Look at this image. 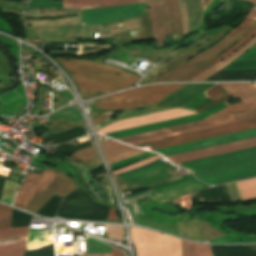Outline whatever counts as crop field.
<instances>
[{"instance_id":"obj_1","label":"crop field","mask_w":256,"mask_h":256,"mask_svg":"<svg viewBox=\"0 0 256 256\" xmlns=\"http://www.w3.org/2000/svg\"><path fill=\"white\" fill-rule=\"evenodd\" d=\"M178 165L191 169L196 178L210 185L237 180L256 175V148Z\"/></svg>"},{"instance_id":"obj_2","label":"crop field","mask_w":256,"mask_h":256,"mask_svg":"<svg viewBox=\"0 0 256 256\" xmlns=\"http://www.w3.org/2000/svg\"><path fill=\"white\" fill-rule=\"evenodd\" d=\"M220 85L225 90H227L234 98L240 97L242 102L256 101V88L253 86L252 83H224V84H220ZM226 103H227V100H226L225 104ZM228 106H230V107H228ZM228 106L224 105V102H221V103H218V104H216V105L208 108L207 110H205L199 114H196V115L182 117V118L173 119V120L164 121V122L155 123V124H150V125H146V126L128 129V130L118 131V132L109 133V134H105V135L108 137H111L113 139H117V138H121V137H125V136H130V135H134V134H138V133H143V132H147V131H151V130H156V129H160V128H165V127H169V126H173V125H178V124H182V123H186V122L203 119V118H205L221 109H224L226 107H228V108L221 110L207 118L256 108V102H254L252 104L249 102L235 103V104H229Z\"/></svg>"},{"instance_id":"obj_3","label":"crop field","mask_w":256,"mask_h":256,"mask_svg":"<svg viewBox=\"0 0 256 256\" xmlns=\"http://www.w3.org/2000/svg\"><path fill=\"white\" fill-rule=\"evenodd\" d=\"M145 0H65V8H95L142 3ZM146 3L82 10L83 24H104L145 14Z\"/></svg>"},{"instance_id":"obj_4","label":"crop field","mask_w":256,"mask_h":256,"mask_svg":"<svg viewBox=\"0 0 256 256\" xmlns=\"http://www.w3.org/2000/svg\"><path fill=\"white\" fill-rule=\"evenodd\" d=\"M183 85L184 84H159L140 87L124 93L102 98L98 100L97 105L104 111L153 107ZM117 100H124V102L109 103V101Z\"/></svg>"},{"instance_id":"obj_5","label":"crop field","mask_w":256,"mask_h":256,"mask_svg":"<svg viewBox=\"0 0 256 256\" xmlns=\"http://www.w3.org/2000/svg\"><path fill=\"white\" fill-rule=\"evenodd\" d=\"M256 26V20L246 17L242 23L234 28L228 35H226L222 40L206 49L202 53L196 55L187 63L179 66L178 68L170 71L161 79L155 82L162 81H176L183 77L187 73L191 72L200 65L214 59L218 55L222 54L228 48L236 44L241 40L247 33H249ZM201 67V66H200Z\"/></svg>"},{"instance_id":"obj_6","label":"crop field","mask_w":256,"mask_h":256,"mask_svg":"<svg viewBox=\"0 0 256 256\" xmlns=\"http://www.w3.org/2000/svg\"><path fill=\"white\" fill-rule=\"evenodd\" d=\"M256 118V109L246 112H241L237 114L227 115L223 117H218L214 119H209L205 121L195 122L191 124H186L182 126H177L173 128L163 129L159 131H154L150 133H145L141 135L131 136L127 138L118 139L130 145L148 142L152 140H157L161 138L171 137L175 135H180L184 133L194 132L198 130H203L207 128L217 127L221 125L231 124L235 122H240L244 120Z\"/></svg>"},{"instance_id":"obj_7","label":"crop field","mask_w":256,"mask_h":256,"mask_svg":"<svg viewBox=\"0 0 256 256\" xmlns=\"http://www.w3.org/2000/svg\"><path fill=\"white\" fill-rule=\"evenodd\" d=\"M55 59L57 61L73 60V61L80 62V63H77V62L59 61L68 72L98 79V80L119 86L123 89L132 87L140 80V77L136 75H133L124 70L117 69V68L110 67L103 64L81 61L76 59H66V58H55ZM113 73L121 74L124 77L115 75Z\"/></svg>"},{"instance_id":"obj_8","label":"crop field","mask_w":256,"mask_h":256,"mask_svg":"<svg viewBox=\"0 0 256 256\" xmlns=\"http://www.w3.org/2000/svg\"><path fill=\"white\" fill-rule=\"evenodd\" d=\"M137 256H181L180 240L140 229H130Z\"/></svg>"},{"instance_id":"obj_9","label":"crop field","mask_w":256,"mask_h":256,"mask_svg":"<svg viewBox=\"0 0 256 256\" xmlns=\"http://www.w3.org/2000/svg\"><path fill=\"white\" fill-rule=\"evenodd\" d=\"M109 207L94 203L82 189L66 197L56 216L77 220L105 221Z\"/></svg>"},{"instance_id":"obj_10","label":"crop field","mask_w":256,"mask_h":256,"mask_svg":"<svg viewBox=\"0 0 256 256\" xmlns=\"http://www.w3.org/2000/svg\"><path fill=\"white\" fill-rule=\"evenodd\" d=\"M206 94L209 97H211L215 102L195 111L196 113H199L218 102H221L223 100L230 98L229 95L223 89H221L218 85L212 88L211 90H209L208 92H206ZM193 113L194 112L192 111H188L184 109H172L168 111L158 112L154 114H149L145 116L118 121L116 123H113L103 128L102 130H100V133L105 134V133L114 132L122 129H127V128L145 125L153 122L176 118L184 115H189Z\"/></svg>"},{"instance_id":"obj_11","label":"crop field","mask_w":256,"mask_h":256,"mask_svg":"<svg viewBox=\"0 0 256 256\" xmlns=\"http://www.w3.org/2000/svg\"><path fill=\"white\" fill-rule=\"evenodd\" d=\"M12 209L0 204V229L10 227ZM28 228L0 230V256H23Z\"/></svg>"},{"instance_id":"obj_12","label":"crop field","mask_w":256,"mask_h":256,"mask_svg":"<svg viewBox=\"0 0 256 256\" xmlns=\"http://www.w3.org/2000/svg\"><path fill=\"white\" fill-rule=\"evenodd\" d=\"M256 128V119L148 142L153 150ZM146 144V143H143ZM142 145V144H138ZM134 145V146H138Z\"/></svg>"},{"instance_id":"obj_13","label":"crop field","mask_w":256,"mask_h":256,"mask_svg":"<svg viewBox=\"0 0 256 256\" xmlns=\"http://www.w3.org/2000/svg\"><path fill=\"white\" fill-rule=\"evenodd\" d=\"M56 175L57 173L48 170L41 175L28 172L25 182L17 193L14 205L24 209L35 191L43 192Z\"/></svg>"},{"instance_id":"obj_14","label":"crop field","mask_w":256,"mask_h":256,"mask_svg":"<svg viewBox=\"0 0 256 256\" xmlns=\"http://www.w3.org/2000/svg\"><path fill=\"white\" fill-rule=\"evenodd\" d=\"M76 188L75 184L58 174L43 193L36 191L27 209L37 212L54 194L64 197Z\"/></svg>"},{"instance_id":"obj_15","label":"crop field","mask_w":256,"mask_h":256,"mask_svg":"<svg viewBox=\"0 0 256 256\" xmlns=\"http://www.w3.org/2000/svg\"><path fill=\"white\" fill-rule=\"evenodd\" d=\"M256 146V138L243 141L233 142L229 144L219 145L215 147L205 148L201 150L191 151L187 153L168 156L171 161L178 163L187 160L197 159L201 157L211 156L215 154L225 153L229 151L239 150L243 148Z\"/></svg>"},{"instance_id":"obj_16","label":"crop field","mask_w":256,"mask_h":256,"mask_svg":"<svg viewBox=\"0 0 256 256\" xmlns=\"http://www.w3.org/2000/svg\"><path fill=\"white\" fill-rule=\"evenodd\" d=\"M151 8L154 38L160 41L165 39L169 30V17L165 0H146Z\"/></svg>"},{"instance_id":"obj_17","label":"crop field","mask_w":256,"mask_h":256,"mask_svg":"<svg viewBox=\"0 0 256 256\" xmlns=\"http://www.w3.org/2000/svg\"><path fill=\"white\" fill-rule=\"evenodd\" d=\"M108 158L109 164L116 163L123 159L143 153L144 151L136 150L130 146L119 144L113 140L102 144Z\"/></svg>"},{"instance_id":"obj_18","label":"crop field","mask_w":256,"mask_h":256,"mask_svg":"<svg viewBox=\"0 0 256 256\" xmlns=\"http://www.w3.org/2000/svg\"><path fill=\"white\" fill-rule=\"evenodd\" d=\"M254 35H256V27L248 34L246 35L241 41H239L236 45H234L233 47H231L229 50H227L225 53H223L222 55H220L219 57L215 58L214 60L202 65L201 67L197 68L196 70L192 71L191 73H189L188 75L184 76L183 78H181L178 81H188L192 78H194L195 76L201 74L202 72L208 70L209 68L213 67L216 63L220 62L221 60H223L224 58H226L227 56L231 55L233 52H235L237 49H239L243 44H245L249 39H251ZM249 38V39H248ZM248 39L247 41H245L243 44H241L238 48H236L240 43H242L244 40ZM234 48H236L234 51H232ZM232 51V52H230ZM230 52V53H228ZM228 53V54H227ZM225 54H227L226 56H224ZM222 56H224L223 58H221ZM221 58V59H219ZM219 59V60H218Z\"/></svg>"},{"instance_id":"obj_19","label":"crop field","mask_w":256,"mask_h":256,"mask_svg":"<svg viewBox=\"0 0 256 256\" xmlns=\"http://www.w3.org/2000/svg\"><path fill=\"white\" fill-rule=\"evenodd\" d=\"M70 76L74 79L79 89L81 90H85L89 92H112V91L120 90L119 88H116L98 81L74 76L71 74Z\"/></svg>"},{"instance_id":"obj_20","label":"crop field","mask_w":256,"mask_h":256,"mask_svg":"<svg viewBox=\"0 0 256 256\" xmlns=\"http://www.w3.org/2000/svg\"><path fill=\"white\" fill-rule=\"evenodd\" d=\"M172 39L182 37L180 11L177 0H166Z\"/></svg>"},{"instance_id":"obj_21","label":"crop field","mask_w":256,"mask_h":256,"mask_svg":"<svg viewBox=\"0 0 256 256\" xmlns=\"http://www.w3.org/2000/svg\"><path fill=\"white\" fill-rule=\"evenodd\" d=\"M255 43H256V36L251 41H249L243 48H241L239 51H237L236 53H234L231 56L227 57L225 60H223L222 62L218 63L216 66L214 65L215 67L209 69L208 71L202 73L201 75L195 77L194 79H192L190 81H203V80H205L210 75H212L213 73H215L216 71H218L219 69L224 67L226 64H228L229 62H231L232 60L237 58L242 53H244L247 49H249Z\"/></svg>"},{"instance_id":"obj_22","label":"crop field","mask_w":256,"mask_h":256,"mask_svg":"<svg viewBox=\"0 0 256 256\" xmlns=\"http://www.w3.org/2000/svg\"><path fill=\"white\" fill-rule=\"evenodd\" d=\"M243 67H256V49H250L245 54L231 62L224 68H243ZM223 68V69H224ZM243 69H256V68H243ZM224 70H241V69H224Z\"/></svg>"},{"instance_id":"obj_23","label":"crop field","mask_w":256,"mask_h":256,"mask_svg":"<svg viewBox=\"0 0 256 256\" xmlns=\"http://www.w3.org/2000/svg\"><path fill=\"white\" fill-rule=\"evenodd\" d=\"M182 256H213L209 245L182 241Z\"/></svg>"},{"instance_id":"obj_24","label":"crop field","mask_w":256,"mask_h":256,"mask_svg":"<svg viewBox=\"0 0 256 256\" xmlns=\"http://www.w3.org/2000/svg\"><path fill=\"white\" fill-rule=\"evenodd\" d=\"M189 15V32L195 29L202 17L200 0H185Z\"/></svg>"},{"instance_id":"obj_25","label":"crop field","mask_w":256,"mask_h":256,"mask_svg":"<svg viewBox=\"0 0 256 256\" xmlns=\"http://www.w3.org/2000/svg\"><path fill=\"white\" fill-rule=\"evenodd\" d=\"M244 200L256 197V178L237 182Z\"/></svg>"},{"instance_id":"obj_26","label":"crop field","mask_w":256,"mask_h":256,"mask_svg":"<svg viewBox=\"0 0 256 256\" xmlns=\"http://www.w3.org/2000/svg\"><path fill=\"white\" fill-rule=\"evenodd\" d=\"M17 183L11 182V181H6L5 186H4V191L2 195V201L7 202L11 204L16 188H17Z\"/></svg>"},{"instance_id":"obj_27","label":"crop field","mask_w":256,"mask_h":256,"mask_svg":"<svg viewBox=\"0 0 256 256\" xmlns=\"http://www.w3.org/2000/svg\"><path fill=\"white\" fill-rule=\"evenodd\" d=\"M69 156H71V157H73V158L83 162V161H86L88 159L94 158L97 155H96L93 147L91 146L89 148H86L84 150L78 151V152H76L74 154H71Z\"/></svg>"},{"instance_id":"obj_28","label":"crop field","mask_w":256,"mask_h":256,"mask_svg":"<svg viewBox=\"0 0 256 256\" xmlns=\"http://www.w3.org/2000/svg\"><path fill=\"white\" fill-rule=\"evenodd\" d=\"M159 158H162V157L159 156V155H157V156H155V157H153V158H150V159L141 161V162H139V163L130 165V166H128V167H126V168H123V169H120V170H118V171H114L113 173H114V175H116V174H119V173L127 172V171H129V170L136 169V168H138V167H140V166H142V165H144V164H147V163H149V162H151V161H154V160H157V159H159Z\"/></svg>"},{"instance_id":"obj_29","label":"crop field","mask_w":256,"mask_h":256,"mask_svg":"<svg viewBox=\"0 0 256 256\" xmlns=\"http://www.w3.org/2000/svg\"><path fill=\"white\" fill-rule=\"evenodd\" d=\"M179 203L181 204V206H183V207H185L187 209H191L190 193L180 197L179 198Z\"/></svg>"},{"instance_id":"obj_30","label":"crop field","mask_w":256,"mask_h":256,"mask_svg":"<svg viewBox=\"0 0 256 256\" xmlns=\"http://www.w3.org/2000/svg\"><path fill=\"white\" fill-rule=\"evenodd\" d=\"M107 220L119 222L117 219L116 213L114 211L113 205H111Z\"/></svg>"},{"instance_id":"obj_31","label":"crop field","mask_w":256,"mask_h":256,"mask_svg":"<svg viewBox=\"0 0 256 256\" xmlns=\"http://www.w3.org/2000/svg\"><path fill=\"white\" fill-rule=\"evenodd\" d=\"M111 249H112L113 256H125V253H123V252H121V251H119L117 249H114L112 247H111Z\"/></svg>"},{"instance_id":"obj_32","label":"crop field","mask_w":256,"mask_h":256,"mask_svg":"<svg viewBox=\"0 0 256 256\" xmlns=\"http://www.w3.org/2000/svg\"><path fill=\"white\" fill-rule=\"evenodd\" d=\"M107 118L106 116H104L103 114L100 115L99 117L95 118L93 121L94 125L99 123L100 121H102L103 119Z\"/></svg>"},{"instance_id":"obj_33","label":"crop field","mask_w":256,"mask_h":256,"mask_svg":"<svg viewBox=\"0 0 256 256\" xmlns=\"http://www.w3.org/2000/svg\"><path fill=\"white\" fill-rule=\"evenodd\" d=\"M248 17L256 19V7L253 6L250 14L248 15Z\"/></svg>"},{"instance_id":"obj_34","label":"crop field","mask_w":256,"mask_h":256,"mask_svg":"<svg viewBox=\"0 0 256 256\" xmlns=\"http://www.w3.org/2000/svg\"><path fill=\"white\" fill-rule=\"evenodd\" d=\"M78 256H112L111 254H101V255H78Z\"/></svg>"},{"instance_id":"obj_35","label":"crop field","mask_w":256,"mask_h":256,"mask_svg":"<svg viewBox=\"0 0 256 256\" xmlns=\"http://www.w3.org/2000/svg\"><path fill=\"white\" fill-rule=\"evenodd\" d=\"M243 1H247V2L253 3L254 0H243Z\"/></svg>"},{"instance_id":"obj_36","label":"crop field","mask_w":256,"mask_h":256,"mask_svg":"<svg viewBox=\"0 0 256 256\" xmlns=\"http://www.w3.org/2000/svg\"><path fill=\"white\" fill-rule=\"evenodd\" d=\"M254 4H256V0L254 1Z\"/></svg>"},{"instance_id":"obj_37","label":"crop field","mask_w":256,"mask_h":256,"mask_svg":"<svg viewBox=\"0 0 256 256\" xmlns=\"http://www.w3.org/2000/svg\"><path fill=\"white\" fill-rule=\"evenodd\" d=\"M255 84V86H256V83H254Z\"/></svg>"},{"instance_id":"obj_38","label":"crop field","mask_w":256,"mask_h":256,"mask_svg":"<svg viewBox=\"0 0 256 256\" xmlns=\"http://www.w3.org/2000/svg\"><path fill=\"white\" fill-rule=\"evenodd\" d=\"M251 247V246H250Z\"/></svg>"}]
</instances>
